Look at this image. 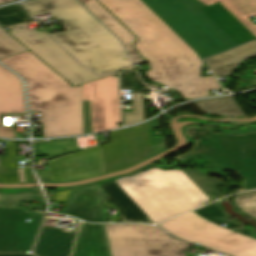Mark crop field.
I'll return each instance as SVG.
<instances>
[{
  "mask_svg": "<svg viewBox=\"0 0 256 256\" xmlns=\"http://www.w3.org/2000/svg\"><path fill=\"white\" fill-rule=\"evenodd\" d=\"M138 38L135 44L151 70L146 75L176 89L185 98L209 96L207 90L221 88L214 76L201 78L202 62L197 54L140 0H99Z\"/></svg>",
  "mask_w": 256,
  "mask_h": 256,
  "instance_id": "obj_1",
  "label": "crop field"
},
{
  "mask_svg": "<svg viewBox=\"0 0 256 256\" xmlns=\"http://www.w3.org/2000/svg\"><path fill=\"white\" fill-rule=\"evenodd\" d=\"M24 6L33 16L52 13L60 19L67 30L52 36L96 73L133 68L117 38L76 0H33Z\"/></svg>",
  "mask_w": 256,
  "mask_h": 256,
  "instance_id": "obj_2",
  "label": "crop field"
},
{
  "mask_svg": "<svg viewBox=\"0 0 256 256\" xmlns=\"http://www.w3.org/2000/svg\"><path fill=\"white\" fill-rule=\"evenodd\" d=\"M201 58L255 37L219 3L197 0H142Z\"/></svg>",
  "mask_w": 256,
  "mask_h": 256,
  "instance_id": "obj_3",
  "label": "crop field"
},
{
  "mask_svg": "<svg viewBox=\"0 0 256 256\" xmlns=\"http://www.w3.org/2000/svg\"><path fill=\"white\" fill-rule=\"evenodd\" d=\"M0 62L25 78L30 111L41 112L44 137L84 134L81 86H69L30 51Z\"/></svg>",
  "mask_w": 256,
  "mask_h": 256,
  "instance_id": "obj_4",
  "label": "crop field"
},
{
  "mask_svg": "<svg viewBox=\"0 0 256 256\" xmlns=\"http://www.w3.org/2000/svg\"><path fill=\"white\" fill-rule=\"evenodd\" d=\"M115 181L154 223L210 200L182 170L154 168Z\"/></svg>",
  "mask_w": 256,
  "mask_h": 256,
  "instance_id": "obj_5",
  "label": "crop field"
},
{
  "mask_svg": "<svg viewBox=\"0 0 256 256\" xmlns=\"http://www.w3.org/2000/svg\"><path fill=\"white\" fill-rule=\"evenodd\" d=\"M183 130L194 147L186 154L174 159L183 164L205 162L215 167L213 171L226 168L235 170L243 179V184L242 189L232 193L256 189V128L223 130L187 126ZM212 130H219L221 133L215 134ZM194 138L198 140L193 141ZM200 158L203 160L200 161Z\"/></svg>",
  "mask_w": 256,
  "mask_h": 256,
  "instance_id": "obj_6",
  "label": "crop field"
},
{
  "mask_svg": "<svg viewBox=\"0 0 256 256\" xmlns=\"http://www.w3.org/2000/svg\"><path fill=\"white\" fill-rule=\"evenodd\" d=\"M227 224L222 227L220 225ZM173 235L194 243H200L231 256H256V237L250 229L227 220L215 206L190 212L176 219L159 224Z\"/></svg>",
  "mask_w": 256,
  "mask_h": 256,
  "instance_id": "obj_7",
  "label": "crop field"
},
{
  "mask_svg": "<svg viewBox=\"0 0 256 256\" xmlns=\"http://www.w3.org/2000/svg\"><path fill=\"white\" fill-rule=\"evenodd\" d=\"M111 256H186L187 244L146 225H106Z\"/></svg>",
  "mask_w": 256,
  "mask_h": 256,
  "instance_id": "obj_8",
  "label": "crop field"
},
{
  "mask_svg": "<svg viewBox=\"0 0 256 256\" xmlns=\"http://www.w3.org/2000/svg\"><path fill=\"white\" fill-rule=\"evenodd\" d=\"M10 33L75 86L109 76H96L92 70L80 66L46 32L39 33L35 29H28L23 24Z\"/></svg>",
  "mask_w": 256,
  "mask_h": 256,
  "instance_id": "obj_9",
  "label": "crop field"
},
{
  "mask_svg": "<svg viewBox=\"0 0 256 256\" xmlns=\"http://www.w3.org/2000/svg\"><path fill=\"white\" fill-rule=\"evenodd\" d=\"M45 214L0 207V253H31ZM27 218L32 219L27 223Z\"/></svg>",
  "mask_w": 256,
  "mask_h": 256,
  "instance_id": "obj_10",
  "label": "crop field"
},
{
  "mask_svg": "<svg viewBox=\"0 0 256 256\" xmlns=\"http://www.w3.org/2000/svg\"><path fill=\"white\" fill-rule=\"evenodd\" d=\"M106 173L123 169L150 156L148 123L111 132V143L103 146Z\"/></svg>",
  "mask_w": 256,
  "mask_h": 256,
  "instance_id": "obj_11",
  "label": "crop field"
},
{
  "mask_svg": "<svg viewBox=\"0 0 256 256\" xmlns=\"http://www.w3.org/2000/svg\"><path fill=\"white\" fill-rule=\"evenodd\" d=\"M82 100H91L93 132L115 128L121 122L118 78L82 85Z\"/></svg>",
  "mask_w": 256,
  "mask_h": 256,
  "instance_id": "obj_12",
  "label": "crop field"
},
{
  "mask_svg": "<svg viewBox=\"0 0 256 256\" xmlns=\"http://www.w3.org/2000/svg\"><path fill=\"white\" fill-rule=\"evenodd\" d=\"M51 182L73 181L105 173L102 146L48 162Z\"/></svg>",
  "mask_w": 256,
  "mask_h": 256,
  "instance_id": "obj_13",
  "label": "crop field"
},
{
  "mask_svg": "<svg viewBox=\"0 0 256 256\" xmlns=\"http://www.w3.org/2000/svg\"><path fill=\"white\" fill-rule=\"evenodd\" d=\"M25 113L21 80L0 66V137L16 138L14 127H3L1 114Z\"/></svg>",
  "mask_w": 256,
  "mask_h": 256,
  "instance_id": "obj_14",
  "label": "crop field"
},
{
  "mask_svg": "<svg viewBox=\"0 0 256 256\" xmlns=\"http://www.w3.org/2000/svg\"><path fill=\"white\" fill-rule=\"evenodd\" d=\"M56 219L47 218L37 242L35 253L39 256H69L75 237L73 231L59 230L53 226Z\"/></svg>",
  "mask_w": 256,
  "mask_h": 256,
  "instance_id": "obj_15",
  "label": "crop field"
},
{
  "mask_svg": "<svg viewBox=\"0 0 256 256\" xmlns=\"http://www.w3.org/2000/svg\"><path fill=\"white\" fill-rule=\"evenodd\" d=\"M73 256H109L103 225L81 224Z\"/></svg>",
  "mask_w": 256,
  "mask_h": 256,
  "instance_id": "obj_16",
  "label": "crop field"
},
{
  "mask_svg": "<svg viewBox=\"0 0 256 256\" xmlns=\"http://www.w3.org/2000/svg\"><path fill=\"white\" fill-rule=\"evenodd\" d=\"M256 55V41L249 42L226 53L210 57L206 64L216 75V77L231 75L232 70L241 61Z\"/></svg>",
  "mask_w": 256,
  "mask_h": 256,
  "instance_id": "obj_17",
  "label": "crop field"
},
{
  "mask_svg": "<svg viewBox=\"0 0 256 256\" xmlns=\"http://www.w3.org/2000/svg\"><path fill=\"white\" fill-rule=\"evenodd\" d=\"M79 1L122 40L135 64L145 61L144 59L139 58L131 45L136 38L126 28H124L102 5H100L96 0Z\"/></svg>",
  "mask_w": 256,
  "mask_h": 256,
  "instance_id": "obj_18",
  "label": "crop field"
},
{
  "mask_svg": "<svg viewBox=\"0 0 256 256\" xmlns=\"http://www.w3.org/2000/svg\"><path fill=\"white\" fill-rule=\"evenodd\" d=\"M97 200L96 193H77L70 199L63 214L72 215L84 221L103 222L105 221L103 213L99 208L94 207Z\"/></svg>",
  "mask_w": 256,
  "mask_h": 256,
  "instance_id": "obj_19",
  "label": "crop field"
},
{
  "mask_svg": "<svg viewBox=\"0 0 256 256\" xmlns=\"http://www.w3.org/2000/svg\"><path fill=\"white\" fill-rule=\"evenodd\" d=\"M100 186L120 208L123 222L153 223L125 194L126 192H123V190L115 183V181L101 184Z\"/></svg>",
  "mask_w": 256,
  "mask_h": 256,
  "instance_id": "obj_20",
  "label": "crop field"
},
{
  "mask_svg": "<svg viewBox=\"0 0 256 256\" xmlns=\"http://www.w3.org/2000/svg\"><path fill=\"white\" fill-rule=\"evenodd\" d=\"M211 6L221 3L238 21H240L255 37L256 25L248 18L256 15V0H199Z\"/></svg>",
  "mask_w": 256,
  "mask_h": 256,
  "instance_id": "obj_21",
  "label": "crop field"
},
{
  "mask_svg": "<svg viewBox=\"0 0 256 256\" xmlns=\"http://www.w3.org/2000/svg\"><path fill=\"white\" fill-rule=\"evenodd\" d=\"M196 105L199 106L205 112H209L216 115H244L241 108L232 98H223L197 102Z\"/></svg>",
  "mask_w": 256,
  "mask_h": 256,
  "instance_id": "obj_22",
  "label": "crop field"
},
{
  "mask_svg": "<svg viewBox=\"0 0 256 256\" xmlns=\"http://www.w3.org/2000/svg\"><path fill=\"white\" fill-rule=\"evenodd\" d=\"M1 183L19 182L14 153V142H7V156H0Z\"/></svg>",
  "mask_w": 256,
  "mask_h": 256,
  "instance_id": "obj_23",
  "label": "crop field"
},
{
  "mask_svg": "<svg viewBox=\"0 0 256 256\" xmlns=\"http://www.w3.org/2000/svg\"><path fill=\"white\" fill-rule=\"evenodd\" d=\"M197 186L211 199L217 198L215 195V187L222 183L217 178H212L204 175L200 169L183 170Z\"/></svg>",
  "mask_w": 256,
  "mask_h": 256,
  "instance_id": "obj_24",
  "label": "crop field"
},
{
  "mask_svg": "<svg viewBox=\"0 0 256 256\" xmlns=\"http://www.w3.org/2000/svg\"><path fill=\"white\" fill-rule=\"evenodd\" d=\"M31 19L22 11L20 5H14L0 9V25L11 26Z\"/></svg>",
  "mask_w": 256,
  "mask_h": 256,
  "instance_id": "obj_25",
  "label": "crop field"
},
{
  "mask_svg": "<svg viewBox=\"0 0 256 256\" xmlns=\"http://www.w3.org/2000/svg\"><path fill=\"white\" fill-rule=\"evenodd\" d=\"M10 36L0 28V59L28 51Z\"/></svg>",
  "mask_w": 256,
  "mask_h": 256,
  "instance_id": "obj_26",
  "label": "crop field"
},
{
  "mask_svg": "<svg viewBox=\"0 0 256 256\" xmlns=\"http://www.w3.org/2000/svg\"><path fill=\"white\" fill-rule=\"evenodd\" d=\"M122 89H130L131 93H140L149 90L145 86L135 71H128L121 74Z\"/></svg>",
  "mask_w": 256,
  "mask_h": 256,
  "instance_id": "obj_27",
  "label": "crop field"
},
{
  "mask_svg": "<svg viewBox=\"0 0 256 256\" xmlns=\"http://www.w3.org/2000/svg\"><path fill=\"white\" fill-rule=\"evenodd\" d=\"M131 100H133L134 111L125 113L126 126L144 120L142 93L141 94H131Z\"/></svg>",
  "mask_w": 256,
  "mask_h": 256,
  "instance_id": "obj_28",
  "label": "crop field"
},
{
  "mask_svg": "<svg viewBox=\"0 0 256 256\" xmlns=\"http://www.w3.org/2000/svg\"><path fill=\"white\" fill-rule=\"evenodd\" d=\"M235 203L246 213L256 217V193L241 195L235 198Z\"/></svg>",
  "mask_w": 256,
  "mask_h": 256,
  "instance_id": "obj_29",
  "label": "crop field"
},
{
  "mask_svg": "<svg viewBox=\"0 0 256 256\" xmlns=\"http://www.w3.org/2000/svg\"><path fill=\"white\" fill-rule=\"evenodd\" d=\"M32 198V193L1 194L0 206L18 207L21 201H31Z\"/></svg>",
  "mask_w": 256,
  "mask_h": 256,
  "instance_id": "obj_30",
  "label": "crop field"
},
{
  "mask_svg": "<svg viewBox=\"0 0 256 256\" xmlns=\"http://www.w3.org/2000/svg\"><path fill=\"white\" fill-rule=\"evenodd\" d=\"M70 192H71V190L56 193L53 200L65 201V200H67L68 195L70 194Z\"/></svg>",
  "mask_w": 256,
  "mask_h": 256,
  "instance_id": "obj_31",
  "label": "crop field"
},
{
  "mask_svg": "<svg viewBox=\"0 0 256 256\" xmlns=\"http://www.w3.org/2000/svg\"><path fill=\"white\" fill-rule=\"evenodd\" d=\"M0 256H33L31 254H0Z\"/></svg>",
  "mask_w": 256,
  "mask_h": 256,
  "instance_id": "obj_32",
  "label": "crop field"
},
{
  "mask_svg": "<svg viewBox=\"0 0 256 256\" xmlns=\"http://www.w3.org/2000/svg\"><path fill=\"white\" fill-rule=\"evenodd\" d=\"M8 1H12V0H0V3H4V2H8Z\"/></svg>",
  "mask_w": 256,
  "mask_h": 256,
  "instance_id": "obj_33",
  "label": "crop field"
}]
</instances>
